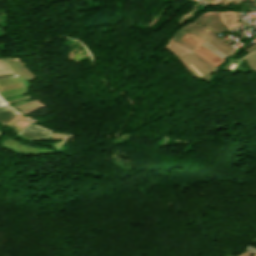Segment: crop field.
<instances>
[{
    "label": "crop field",
    "instance_id": "1",
    "mask_svg": "<svg viewBox=\"0 0 256 256\" xmlns=\"http://www.w3.org/2000/svg\"><path fill=\"white\" fill-rule=\"evenodd\" d=\"M195 36V35H194ZM190 34H186L182 40H184L185 42L195 46L196 48L193 49L192 51H194L196 54H198L199 56H201L202 58H204L206 61H208L209 63H211L213 66H217L222 59L219 58L217 55H215L214 53L210 52L209 50H207L206 48H204L203 46H201L200 44L202 42H204V40L199 39L197 37H194Z\"/></svg>",
    "mask_w": 256,
    "mask_h": 256
},
{
    "label": "crop field",
    "instance_id": "5",
    "mask_svg": "<svg viewBox=\"0 0 256 256\" xmlns=\"http://www.w3.org/2000/svg\"><path fill=\"white\" fill-rule=\"evenodd\" d=\"M7 73H13V71L6 59H0V75Z\"/></svg>",
    "mask_w": 256,
    "mask_h": 256
},
{
    "label": "crop field",
    "instance_id": "2",
    "mask_svg": "<svg viewBox=\"0 0 256 256\" xmlns=\"http://www.w3.org/2000/svg\"><path fill=\"white\" fill-rule=\"evenodd\" d=\"M51 134V131L32 124L27 125L18 133V135L22 136L23 138L30 140L48 138L51 136Z\"/></svg>",
    "mask_w": 256,
    "mask_h": 256
},
{
    "label": "crop field",
    "instance_id": "3",
    "mask_svg": "<svg viewBox=\"0 0 256 256\" xmlns=\"http://www.w3.org/2000/svg\"><path fill=\"white\" fill-rule=\"evenodd\" d=\"M15 115L17 112L0 99V123L4 125Z\"/></svg>",
    "mask_w": 256,
    "mask_h": 256
},
{
    "label": "crop field",
    "instance_id": "4",
    "mask_svg": "<svg viewBox=\"0 0 256 256\" xmlns=\"http://www.w3.org/2000/svg\"><path fill=\"white\" fill-rule=\"evenodd\" d=\"M30 122H28L26 119H24L20 114H18L16 117H14L12 120H10L8 123H6V125L10 126V127H14L17 129H22L23 127H25L27 124H29Z\"/></svg>",
    "mask_w": 256,
    "mask_h": 256
},
{
    "label": "crop field",
    "instance_id": "6",
    "mask_svg": "<svg viewBox=\"0 0 256 256\" xmlns=\"http://www.w3.org/2000/svg\"><path fill=\"white\" fill-rule=\"evenodd\" d=\"M202 45L206 46L207 48H209L211 51H213L215 54H217L218 56H220L221 58L226 57L227 55L223 54L222 52H220L219 50H217L216 48L212 47L211 45H209L208 43H203Z\"/></svg>",
    "mask_w": 256,
    "mask_h": 256
},
{
    "label": "crop field",
    "instance_id": "7",
    "mask_svg": "<svg viewBox=\"0 0 256 256\" xmlns=\"http://www.w3.org/2000/svg\"><path fill=\"white\" fill-rule=\"evenodd\" d=\"M13 76H17V75H15V74L2 75V76H0V79H1V78H7V77H13Z\"/></svg>",
    "mask_w": 256,
    "mask_h": 256
}]
</instances>
